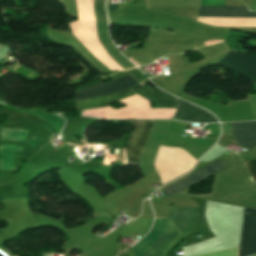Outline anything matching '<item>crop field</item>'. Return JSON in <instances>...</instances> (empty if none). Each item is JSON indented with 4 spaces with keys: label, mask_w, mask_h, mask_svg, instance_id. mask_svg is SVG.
Segmentation results:
<instances>
[{
    "label": "crop field",
    "mask_w": 256,
    "mask_h": 256,
    "mask_svg": "<svg viewBox=\"0 0 256 256\" xmlns=\"http://www.w3.org/2000/svg\"><path fill=\"white\" fill-rule=\"evenodd\" d=\"M224 169H226V167L223 165V163L220 160H218V161H216L210 165H207V166L201 168L200 170L192 173L191 175L180 180L179 182L162 189V191L164 192V194L166 196H172V195H174V194H176L194 184H197V183L207 179L208 177L213 176L217 172L224 170Z\"/></svg>",
    "instance_id": "crop-field-5"
},
{
    "label": "crop field",
    "mask_w": 256,
    "mask_h": 256,
    "mask_svg": "<svg viewBox=\"0 0 256 256\" xmlns=\"http://www.w3.org/2000/svg\"><path fill=\"white\" fill-rule=\"evenodd\" d=\"M247 166L251 172L253 180L256 182V160L247 163Z\"/></svg>",
    "instance_id": "crop-field-11"
},
{
    "label": "crop field",
    "mask_w": 256,
    "mask_h": 256,
    "mask_svg": "<svg viewBox=\"0 0 256 256\" xmlns=\"http://www.w3.org/2000/svg\"><path fill=\"white\" fill-rule=\"evenodd\" d=\"M136 84L138 83L134 80V78L131 75H129V76L120 78L118 80L108 82V83H103L83 91H77L75 95V101H81V100L105 96L107 94L122 91L126 88H131ZM131 89L135 91L138 95L144 97L149 101L160 103L167 108L177 107V103L174 97L166 94L165 92L157 88L145 89L140 84ZM131 89H127L125 91L107 95L101 98L75 102V106L77 109H80V110L107 107L108 106L107 104L109 103L120 101L125 98L136 95V93L133 92Z\"/></svg>",
    "instance_id": "crop-field-1"
},
{
    "label": "crop field",
    "mask_w": 256,
    "mask_h": 256,
    "mask_svg": "<svg viewBox=\"0 0 256 256\" xmlns=\"http://www.w3.org/2000/svg\"><path fill=\"white\" fill-rule=\"evenodd\" d=\"M256 253V210H244L243 228L239 256H249Z\"/></svg>",
    "instance_id": "crop-field-6"
},
{
    "label": "crop field",
    "mask_w": 256,
    "mask_h": 256,
    "mask_svg": "<svg viewBox=\"0 0 256 256\" xmlns=\"http://www.w3.org/2000/svg\"><path fill=\"white\" fill-rule=\"evenodd\" d=\"M179 108L174 118L190 121V122H202L212 123L218 122L217 119L209 112L200 109L192 104L179 100Z\"/></svg>",
    "instance_id": "crop-field-7"
},
{
    "label": "crop field",
    "mask_w": 256,
    "mask_h": 256,
    "mask_svg": "<svg viewBox=\"0 0 256 256\" xmlns=\"http://www.w3.org/2000/svg\"><path fill=\"white\" fill-rule=\"evenodd\" d=\"M218 65L230 68L256 82V58L242 52L231 51Z\"/></svg>",
    "instance_id": "crop-field-4"
},
{
    "label": "crop field",
    "mask_w": 256,
    "mask_h": 256,
    "mask_svg": "<svg viewBox=\"0 0 256 256\" xmlns=\"http://www.w3.org/2000/svg\"><path fill=\"white\" fill-rule=\"evenodd\" d=\"M222 16H256V12L248 11L247 7H200L199 15Z\"/></svg>",
    "instance_id": "crop-field-10"
},
{
    "label": "crop field",
    "mask_w": 256,
    "mask_h": 256,
    "mask_svg": "<svg viewBox=\"0 0 256 256\" xmlns=\"http://www.w3.org/2000/svg\"><path fill=\"white\" fill-rule=\"evenodd\" d=\"M192 211H193V208H173V210L169 216L170 219L174 222V224L181 230L182 233L192 216ZM197 211H198V209L194 208L193 216H192L185 232L183 233L185 237L189 233L190 228L193 226V223L196 220Z\"/></svg>",
    "instance_id": "crop-field-9"
},
{
    "label": "crop field",
    "mask_w": 256,
    "mask_h": 256,
    "mask_svg": "<svg viewBox=\"0 0 256 256\" xmlns=\"http://www.w3.org/2000/svg\"><path fill=\"white\" fill-rule=\"evenodd\" d=\"M155 121H131L136 126V130L130 134L129 144L126 146L127 164L139 167L142 152L150 137Z\"/></svg>",
    "instance_id": "crop-field-3"
},
{
    "label": "crop field",
    "mask_w": 256,
    "mask_h": 256,
    "mask_svg": "<svg viewBox=\"0 0 256 256\" xmlns=\"http://www.w3.org/2000/svg\"><path fill=\"white\" fill-rule=\"evenodd\" d=\"M170 222V220L156 219V223L152 231L141 242L133 246V252L136 254V256H141L144 252H146L162 234ZM179 233L180 232L178 229L171 222L163 234L154 243V245L142 256L161 255L171 245Z\"/></svg>",
    "instance_id": "crop-field-2"
},
{
    "label": "crop field",
    "mask_w": 256,
    "mask_h": 256,
    "mask_svg": "<svg viewBox=\"0 0 256 256\" xmlns=\"http://www.w3.org/2000/svg\"><path fill=\"white\" fill-rule=\"evenodd\" d=\"M238 145L251 149L256 146V122L232 123Z\"/></svg>",
    "instance_id": "crop-field-8"
}]
</instances>
